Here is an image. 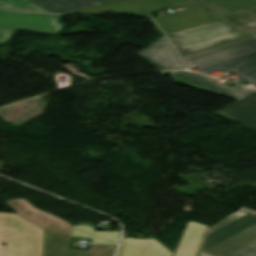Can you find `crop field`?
I'll list each match as a JSON object with an SVG mask.
<instances>
[{
	"label": "crop field",
	"instance_id": "12",
	"mask_svg": "<svg viewBox=\"0 0 256 256\" xmlns=\"http://www.w3.org/2000/svg\"><path fill=\"white\" fill-rule=\"evenodd\" d=\"M214 114L256 129V93Z\"/></svg>",
	"mask_w": 256,
	"mask_h": 256
},
{
	"label": "crop field",
	"instance_id": "6",
	"mask_svg": "<svg viewBox=\"0 0 256 256\" xmlns=\"http://www.w3.org/2000/svg\"><path fill=\"white\" fill-rule=\"evenodd\" d=\"M61 15L17 13L0 9V44L8 43L17 29L55 35L64 25Z\"/></svg>",
	"mask_w": 256,
	"mask_h": 256
},
{
	"label": "crop field",
	"instance_id": "1",
	"mask_svg": "<svg viewBox=\"0 0 256 256\" xmlns=\"http://www.w3.org/2000/svg\"><path fill=\"white\" fill-rule=\"evenodd\" d=\"M16 213L44 228L43 256H112L116 246L90 245L88 250L67 248L70 237L92 238L93 243H117L120 231L98 232L94 227L75 225L35 209L25 199L5 201Z\"/></svg>",
	"mask_w": 256,
	"mask_h": 256
},
{
	"label": "crop field",
	"instance_id": "8",
	"mask_svg": "<svg viewBox=\"0 0 256 256\" xmlns=\"http://www.w3.org/2000/svg\"><path fill=\"white\" fill-rule=\"evenodd\" d=\"M170 74L177 83H181L237 100L255 92V90L244 87L238 90L228 88L219 84L216 79L208 78L188 71H172L170 72Z\"/></svg>",
	"mask_w": 256,
	"mask_h": 256
},
{
	"label": "crop field",
	"instance_id": "15",
	"mask_svg": "<svg viewBox=\"0 0 256 256\" xmlns=\"http://www.w3.org/2000/svg\"><path fill=\"white\" fill-rule=\"evenodd\" d=\"M32 1L41 5L51 13L74 12V11L101 5L95 0H32Z\"/></svg>",
	"mask_w": 256,
	"mask_h": 256
},
{
	"label": "crop field",
	"instance_id": "10",
	"mask_svg": "<svg viewBox=\"0 0 256 256\" xmlns=\"http://www.w3.org/2000/svg\"><path fill=\"white\" fill-rule=\"evenodd\" d=\"M137 55L163 70L184 69L177 52L165 36Z\"/></svg>",
	"mask_w": 256,
	"mask_h": 256
},
{
	"label": "crop field",
	"instance_id": "19",
	"mask_svg": "<svg viewBox=\"0 0 256 256\" xmlns=\"http://www.w3.org/2000/svg\"><path fill=\"white\" fill-rule=\"evenodd\" d=\"M248 212H250V210H246V209L241 210L240 212L236 213V214L233 215L232 217L228 218L227 220L223 221L222 223H220V224H218L217 226H215V227H213L212 229H210V230L207 232V234H209V233H211V232H213V231H215V230H217V229H219V228L225 226L226 224H228V223L234 221L235 219L241 217L242 215H244V214H246V213H248Z\"/></svg>",
	"mask_w": 256,
	"mask_h": 256
},
{
	"label": "crop field",
	"instance_id": "18",
	"mask_svg": "<svg viewBox=\"0 0 256 256\" xmlns=\"http://www.w3.org/2000/svg\"><path fill=\"white\" fill-rule=\"evenodd\" d=\"M230 256H256V241Z\"/></svg>",
	"mask_w": 256,
	"mask_h": 256
},
{
	"label": "crop field",
	"instance_id": "16",
	"mask_svg": "<svg viewBox=\"0 0 256 256\" xmlns=\"http://www.w3.org/2000/svg\"><path fill=\"white\" fill-rule=\"evenodd\" d=\"M220 18L238 30L256 35V7Z\"/></svg>",
	"mask_w": 256,
	"mask_h": 256
},
{
	"label": "crop field",
	"instance_id": "7",
	"mask_svg": "<svg viewBox=\"0 0 256 256\" xmlns=\"http://www.w3.org/2000/svg\"><path fill=\"white\" fill-rule=\"evenodd\" d=\"M180 6L187 8L195 5L189 2L188 0H129L120 3L91 8L83 11H78L74 13L93 11H114L126 14L151 17L150 14L155 12V10L162 8L175 9ZM143 11L147 13H141Z\"/></svg>",
	"mask_w": 256,
	"mask_h": 256
},
{
	"label": "crop field",
	"instance_id": "14",
	"mask_svg": "<svg viewBox=\"0 0 256 256\" xmlns=\"http://www.w3.org/2000/svg\"><path fill=\"white\" fill-rule=\"evenodd\" d=\"M211 13L220 17L256 6V0H193Z\"/></svg>",
	"mask_w": 256,
	"mask_h": 256
},
{
	"label": "crop field",
	"instance_id": "5",
	"mask_svg": "<svg viewBox=\"0 0 256 256\" xmlns=\"http://www.w3.org/2000/svg\"><path fill=\"white\" fill-rule=\"evenodd\" d=\"M256 240V212L252 211L206 236L201 252L228 256Z\"/></svg>",
	"mask_w": 256,
	"mask_h": 256
},
{
	"label": "crop field",
	"instance_id": "20",
	"mask_svg": "<svg viewBox=\"0 0 256 256\" xmlns=\"http://www.w3.org/2000/svg\"><path fill=\"white\" fill-rule=\"evenodd\" d=\"M96 1H98L102 5H105V4L120 2V1H124V0H96Z\"/></svg>",
	"mask_w": 256,
	"mask_h": 256
},
{
	"label": "crop field",
	"instance_id": "9",
	"mask_svg": "<svg viewBox=\"0 0 256 256\" xmlns=\"http://www.w3.org/2000/svg\"><path fill=\"white\" fill-rule=\"evenodd\" d=\"M166 34L217 21L218 19L195 6L176 13L154 18Z\"/></svg>",
	"mask_w": 256,
	"mask_h": 256
},
{
	"label": "crop field",
	"instance_id": "13",
	"mask_svg": "<svg viewBox=\"0 0 256 256\" xmlns=\"http://www.w3.org/2000/svg\"><path fill=\"white\" fill-rule=\"evenodd\" d=\"M207 228L196 222H188L173 256H196Z\"/></svg>",
	"mask_w": 256,
	"mask_h": 256
},
{
	"label": "crop field",
	"instance_id": "4",
	"mask_svg": "<svg viewBox=\"0 0 256 256\" xmlns=\"http://www.w3.org/2000/svg\"><path fill=\"white\" fill-rule=\"evenodd\" d=\"M181 56L241 40L244 34L223 21H217L167 35Z\"/></svg>",
	"mask_w": 256,
	"mask_h": 256
},
{
	"label": "crop field",
	"instance_id": "11",
	"mask_svg": "<svg viewBox=\"0 0 256 256\" xmlns=\"http://www.w3.org/2000/svg\"><path fill=\"white\" fill-rule=\"evenodd\" d=\"M173 253L157 239L124 238L117 256H172Z\"/></svg>",
	"mask_w": 256,
	"mask_h": 256
},
{
	"label": "crop field",
	"instance_id": "3",
	"mask_svg": "<svg viewBox=\"0 0 256 256\" xmlns=\"http://www.w3.org/2000/svg\"><path fill=\"white\" fill-rule=\"evenodd\" d=\"M18 216L0 213V256H42L43 229Z\"/></svg>",
	"mask_w": 256,
	"mask_h": 256
},
{
	"label": "crop field",
	"instance_id": "17",
	"mask_svg": "<svg viewBox=\"0 0 256 256\" xmlns=\"http://www.w3.org/2000/svg\"><path fill=\"white\" fill-rule=\"evenodd\" d=\"M0 6L10 10H25L49 13L44 8L30 0H0Z\"/></svg>",
	"mask_w": 256,
	"mask_h": 256
},
{
	"label": "crop field",
	"instance_id": "21",
	"mask_svg": "<svg viewBox=\"0 0 256 256\" xmlns=\"http://www.w3.org/2000/svg\"><path fill=\"white\" fill-rule=\"evenodd\" d=\"M197 256H206V255L199 252Z\"/></svg>",
	"mask_w": 256,
	"mask_h": 256
},
{
	"label": "crop field",
	"instance_id": "2",
	"mask_svg": "<svg viewBox=\"0 0 256 256\" xmlns=\"http://www.w3.org/2000/svg\"><path fill=\"white\" fill-rule=\"evenodd\" d=\"M188 67L218 63L248 82L256 84V37L183 56Z\"/></svg>",
	"mask_w": 256,
	"mask_h": 256
}]
</instances>
